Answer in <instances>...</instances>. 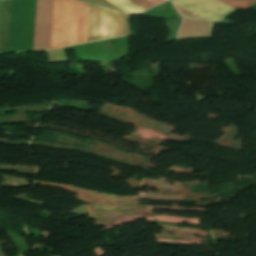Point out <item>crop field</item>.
I'll return each instance as SVG.
<instances>
[{
	"label": "crop field",
	"mask_w": 256,
	"mask_h": 256,
	"mask_svg": "<svg viewBox=\"0 0 256 256\" xmlns=\"http://www.w3.org/2000/svg\"><path fill=\"white\" fill-rule=\"evenodd\" d=\"M235 9H246L251 6L256 0H219Z\"/></svg>",
	"instance_id": "7"
},
{
	"label": "crop field",
	"mask_w": 256,
	"mask_h": 256,
	"mask_svg": "<svg viewBox=\"0 0 256 256\" xmlns=\"http://www.w3.org/2000/svg\"><path fill=\"white\" fill-rule=\"evenodd\" d=\"M128 1H130L134 5L138 6L139 8H141L144 11L156 6V5L152 4L151 2H149L148 0H128Z\"/></svg>",
	"instance_id": "8"
},
{
	"label": "crop field",
	"mask_w": 256,
	"mask_h": 256,
	"mask_svg": "<svg viewBox=\"0 0 256 256\" xmlns=\"http://www.w3.org/2000/svg\"><path fill=\"white\" fill-rule=\"evenodd\" d=\"M183 18L216 22L235 9L217 0H171Z\"/></svg>",
	"instance_id": "3"
},
{
	"label": "crop field",
	"mask_w": 256,
	"mask_h": 256,
	"mask_svg": "<svg viewBox=\"0 0 256 256\" xmlns=\"http://www.w3.org/2000/svg\"><path fill=\"white\" fill-rule=\"evenodd\" d=\"M37 0H12L8 53L33 50Z\"/></svg>",
	"instance_id": "2"
},
{
	"label": "crop field",
	"mask_w": 256,
	"mask_h": 256,
	"mask_svg": "<svg viewBox=\"0 0 256 256\" xmlns=\"http://www.w3.org/2000/svg\"><path fill=\"white\" fill-rule=\"evenodd\" d=\"M24 256V255H23Z\"/></svg>",
	"instance_id": "10"
},
{
	"label": "crop field",
	"mask_w": 256,
	"mask_h": 256,
	"mask_svg": "<svg viewBox=\"0 0 256 256\" xmlns=\"http://www.w3.org/2000/svg\"><path fill=\"white\" fill-rule=\"evenodd\" d=\"M108 1L130 14L143 12L141 9L137 8L138 6L136 7L126 0H108Z\"/></svg>",
	"instance_id": "6"
},
{
	"label": "crop field",
	"mask_w": 256,
	"mask_h": 256,
	"mask_svg": "<svg viewBox=\"0 0 256 256\" xmlns=\"http://www.w3.org/2000/svg\"><path fill=\"white\" fill-rule=\"evenodd\" d=\"M213 25L211 23L183 20L178 37L211 35Z\"/></svg>",
	"instance_id": "5"
},
{
	"label": "crop field",
	"mask_w": 256,
	"mask_h": 256,
	"mask_svg": "<svg viewBox=\"0 0 256 256\" xmlns=\"http://www.w3.org/2000/svg\"><path fill=\"white\" fill-rule=\"evenodd\" d=\"M89 4L54 0L50 49L86 42ZM129 16L90 4L87 42L128 34Z\"/></svg>",
	"instance_id": "1"
},
{
	"label": "crop field",
	"mask_w": 256,
	"mask_h": 256,
	"mask_svg": "<svg viewBox=\"0 0 256 256\" xmlns=\"http://www.w3.org/2000/svg\"><path fill=\"white\" fill-rule=\"evenodd\" d=\"M149 1H151L152 3L158 5V4H160V3H162V2H164L166 0H149Z\"/></svg>",
	"instance_id": "9"
},
{
	"label": "crop field",
	"mask_w": 256,
	"mask_h": 256,
	"mask_svg": "<svg viewBox=\"0 0 256 256\" xmlns=\"http://www.w3.org/2000/svg\"><path fill=\"white\" fill-rule=\"evenodd\" d=\"M53 0H38L34 50H48Z\"/></svg>",
	"instance_id": "4"
}]
</instances>
